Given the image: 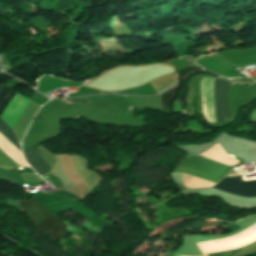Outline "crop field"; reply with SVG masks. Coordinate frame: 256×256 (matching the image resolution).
I'll return each mask as SVG.
<instances>
[{
    "mask_svg": "<svg viewBox=\"0 0 256 256\" xmlns=\"http://www.w3.org/2000/svg\"><path fill=\"white\" fill-rule=\"evenodd\" d=\"M19 203L22 211L30 216L33 224L38 229L51 236L54 240L65 236L66 231L63 223L43 210L36 199L19 201Z\"/></svg>",
    "mask_w": 256,
    "mask_h": 256,
    "instance_id": "crop-field-1",
    "label": "crop field"
},
{
    "mask_svg": "<svg viewBox=\"0 0 256 256\" xmlns=\"http://www.w3.org/2000/svg\"><path fill=\"white\" fill-rule=\"evenodd\" d=\"M230 169L229 167L217 165L198 157H191L180 163L174 172L189 173L218 182Z\"/></svg>",
    "mask_w": 256,
    "mask_h": 256,
    "instance_id": "crop-field-2",
    "label": "crop field"
},
{
    "mask_svg": "<svg viewBox=\"0 0 256 256\" xmlns=\"http://www.w3.org/2000/svg\"><path fill=\"white\" fill-rule=\"evenodd\" d=\"M215 188L228 191L244 197L256 196V177L245 179L244 176L227 178Z\"/></svg>",
    "mask_w": 256,
    "mask_h": 256,
    "instance_id": "crop-field-3",
    "label": "crop field"
},
{
    "mask_svg": "<svg viewBox=\"0 0 256 256\" xmlns=\"http://www.w3.org/2000/svg\"><path fill=\"white\" fill-rule=\"evenodd\" d=\"M217 80L202 78L201 87L204 100V113L207 122H216L215 105H214V90Z\"/></svg>",
    "mask_w": 256,
    "mask_h": 256,
    "instance_id": "crop-field-4",
    "label": "crop field"
},
{
    "mask_svg": "<svg viewBox=\"0 0 256 256\" xmlns=\"http://www.w3.org/2000/svg\"><path fill=\"white\" fill-rule=\"evenodd\" d=\"M23 154L30 164V166L37 171L38 174L42 175L50 169L48 165L41 158L37 148L23 150ZM39 175V176H40Z\"/></svg>",
    "mask_w": 256,
    "mask_h": 256,
    "instance_id": "crop-field-5",
    "label": "crop field"
},
{
    "mask_svg": "<svg viewBox=\"0 0 256 256\" xmlns=\"http://www.w3.org/2000/svg\"><path fill=\"white\" fill-rule=\"evenodd\" d=\"M15 93L16 92L0 85V116L4 111L7 103L10 101V99L14 96Z\"/></svg>",
    "mask_w": 256,
    "mask_h": 256,
    "instance_id": "crop-field-6",
    "label": "crop field"
},
{
    "mask_svg": "<svg viewBox=\"0 0 256 256\" xmlns=\"http://www.w3.org/2000/svg\"><path fill=\"white\" fill-rule=\"evenodd\" d=\"M178 85L172 89H170L169 91H167L166 93L160 95V99H161V110H165V109H169V105L177 91Z\"/></svg>",
    "mask_w": 256,
    "mask_h": 256,
    "instance_id": "crop-field-7",
    "label": "crop field"
},
{
    "mask_svg": "<svg viewBox=\"0 0 256 256\" xmlns=\"http://www.w3.org/2000/svg\"><path fill=\"white\" fill-rule=\"evenodd\" d=\"M0 132L5 135L9 140H11L16 146H19L16 138L14 137L12 131L8 128V126L0 119Z\"/></svg>",
    "mask_w": 256,
    "mask_h": 256,
    "instance_id": "crop-field-8",
    "label": "crop field"
},
{
    "mask_svg": "<svg viewBox=\"0 0 256 256\" xmlns=\"http://www.w3.org/2000/svg\"><path fill=\"white\" fill-rule=\"evenodd\" d=\"M254 122H256V120Z\"/></svg>",
    "mask_w": 256,
    "mask_h": 256,
    "instance_id": "crop-field-9",
    "label": "crop field"
}]
</instances>
